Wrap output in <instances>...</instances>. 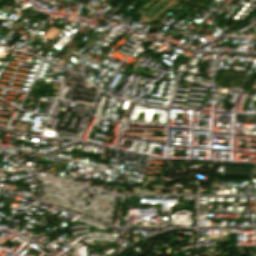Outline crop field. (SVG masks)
Here are the masks:
<instances>
[{
    "label": "crop field",
    "mask_w": 256,
    "mask_h": 256,
    "mask_svg": "<svg viewBox=\"0 0 256 256\" xmlns=\"http://www.w3.org/2000/svg\"><path fill=\"white\" fill-rule=\"evenodd\" d=\"M75 43H74V41H72L68 46V50H69V48L71 47V46H73Z\"/></svg>",
    "instance_id": "1"
}]
</instances>
